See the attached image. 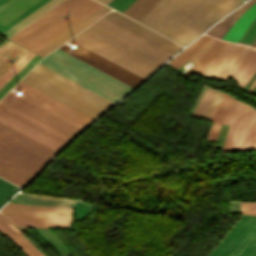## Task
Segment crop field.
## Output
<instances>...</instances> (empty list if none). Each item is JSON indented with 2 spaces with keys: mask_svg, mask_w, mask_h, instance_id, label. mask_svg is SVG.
Wrapping results in <instances>:
<instances>
[{
  "mask_svg": "<svg viewBox=\"0 0 256 256\" xmlns=\"http://www.w3.org/2000/svg\"><path fill=\"white\" fill-rule=\"evenodd\" d=\"M225 95V94H224ZM223 93L217 92L216 95L213 97V99L211 100L203 118L204 119H208L210 120L217 104L219 103L220 99L222 98ZM222 100V99H221ZM219 105V104H218Z\"/></svg>",
  "mask_w": 256,
  "mask_h": 256,
  "instance_id": "crop-field-41",
  "label": "crop field"
},
{
  "mask_svg": "<svg viewBox=\"0 0 256 256\" xmlns=\"http://www.w3.org/2000/svg\"><path fill=\"white\" fill-rule=\"evenodd\" d=\"M234 99L230 98L227 95H224L219 105L217 106L211 120L214 121L210 132L208 134V139L217 140L220 129L222 127V123L232 105Z\"/></svg>",
  "mask_w": 256,
  "mask_h": 256,
  "instance_id": "crop-field-21",
  "label": "crop field"
},
{
  "mask_svg": "<svg viewBox=\"0 0 256 256\" xmlns=\"http://www.w3.org/2000/svg\"><path fill=\"white\" fill-rule=\"evenodd\" d=\"M16 226L69 228L70 221L5 215Z\"/></svg>",
  "mask_w": 256,
  "mask_h": 256,
  "instance_id": "crop-field-18",
  "label": "crop field"
},
{
  "mask_svg": "<svg viewBox=\"0 0 256 256\" xmlns=\"http://www.w3.org/2000/svg\"><path fill=\"white\" fill-rule=\"evenodd\" d=\"M256 0H250L246 4H244L242 7L237 9L235 12H233L231 15L226 17L221 22L217 23L213 28H211L206 34L216 36L218 38H222V36L226 33V31L231 27V25L235 22V20L244 13L249 7H251Z\"/></svg>",
  "mask_w": 256,
  "mask_h": 256,
  "instance_id": "crop-field-24",
  "label": "crop field"
},
{
  "mask_svg": "<svg viewBox=\"0 0 256 256\" xmlns=\"http://www.w3.org/2000/svg\"><path fill=\"white\" fill-rule=\"evenodd\" d=\"M103 18L141 37L142 39L158 46L159 48L173 55L182 48V46L160 36L159 34L139 25L138 23L116 12H110L107 15H105Z\"/></svg>",
  "mask_w": 256,
  "mask_h": 256,
  "instance_id": "crop-field-10",
  "label": "crop field"
},
{
  "mask_svg": "<svg viewBox=\"0 0 256 256\" xmlns=\"http://www.w3.org/2000/svg\"><path fill=\"white\" fill-rule=\"evenodd\" d=\"M208 256H256V217L242 215Z\"/></svg>",
  "mask_w": 256,
  "mask_h": 256,
  "instance_id": "crop-field-6",
  "label": "crop field"
},
{
  "mask_svg": "<svg viewBox=\"0 0 256 256\" xmlns=\"http://www.w3.org/2000/svg\"><path fill=\"white\" fill-rule=\"evenodd\" d=\"M0 225L4 227L7 231H9L12 235H14L17 239H19L31 252L34 256H41L34 247L18 232H16L12 227H10L4 220L0 218Z\"/></svg>",
  "mask_w": 256,
  "mask_h": 256,
  "instance_id": "crop-field-34",
  "label": "crop field"
},
{
  "mask_svg": "<svg viewBox=\"0 0 256 256\" xmlns=\"http://www.w3.org/2000/svg\"><path fill=\"white\" fill-rule=\"evenodd\" d=\"M214 38H211L200 50H198L189 60L192 62H196L198 59H200L203 54L207 51V49L211 46V44L214 42Z\"/></svg>",
  "mask_w": 256,
  "mask_h": 256,
  "instance_id": "crop-field-45",
  "label": "crop field"
},
{
  "mask_svg": "<svg viewBox=\"0 0 256 256\" xmlns=\"http://www.w3.org/2000/svg\"><path fill=\"white\" fill-rule=\"evenodd\" d=\"M252 46H253V47H256V40H255V42L252 44Z\"/></svg>",
  "mask_w": 256,
  "mask_h": 256,
  "instance_id": "crop-field-51",
  "label": "crop field"
},
{
  "mask_svg": "<svg viewBox=\"0 0 256 256\" xmlns=\"http://www.w3.org/2000/svg\"><path fill=\"white\" fill-rule=\"evenodd\" d=\"M98 1H100V2H102V3L107 5L111 0H98Z\"/></svg>",
  "mask_w": 256,
  "mask_h": 256,
  "instance_id": "crop-field-49",
  "label": "crop field"
},
{
  "mask_svg": "<svg viewBox=\"0 0 256 256\" xmlns=\"http://www.w3.org/2000/svg\"><path fill=\"white\" fill-rule=\"evenodd\" d=\"M215 93H216L215 91H210V90L206 89L205 93L201 97V99H200V101H199V103H198V105L195 109V111L198 109L197 112L195 113V111H194V113H195L194 116H198V117L201 118V116H202L204 110L206 109L209 101L212 99V97L215 95Z\"/></svg>",
  "mask_w": 256,
  "mask_h": 256,
  "instance_id": "crop-field-35",
  "label": "crop field"
},
{
  "mask_svg": "<svg viewBox=\"0 0 256 256\" xmlns=\"http://www.w3.org/2000/svg\"><path fill=\"white\" fill-rule=\"evenodd\" d=\"M224 124L231 125L222 151H256V110L235 100Z\"/></svg>",
  "mask_w": 256,
  "mask_h": 256,
  "instance_id": "crop-field-5",
  "label": "crop field"
},
{
  "mask_svg": "<svg viewBox=\"0 0 256 256\" xmlns=\"http://www.w3.org/2000/svg\"><path fill=\"white\" fill-rule=\"evenodd\" d=\"M82 32L100 40L101 42L119 50L120 52L136 59L137 61L155 70L163 64L91 26L86 28Z\"/></svg>",
  "mask_w": 256,
  "mask_h": 256,
  "instance_id": "crop-field-14",
  "label": "crop field"
},
{
  "mask_svg": "<svg viewBox=\"0 0 256 256\" xmlns=\"http://www.w3.org/2000/svg\"><path fill=\"white\" fill-rule=\"evenodd\" d=\"M73 256V255H72Z\"/></svg>",
  "mask_w": 256,
  "mask_h": 256,
  "instance_id": "crop-field-53",
  "label": "crop field"
},
{
  "mask_svg": "<svg viewBox=\"0 0 256 256\" xmlns=\"http://www.w3.org/2000/svg\"><path fill=\"white\" fill-rule=\"evenodd\" d=\"M63 0H49L47 3L36 9L34 12L20 20L18 23L7 29L5 32H3L1 35L12 38L14 35L19 33L21 30L26 28L28 25L33 23L35 20L40 18L42 15H44L46 12L51 10L53 7L58 5Z\"/></svg>",
  "mask_w": 256,
  "mask_h": 256,
  "instance_id": "crop-field-16",
  "label": "crop field"
},
{
  "mask_svg": "<svg viewBox=\"0 0 256 256\" xmlns=\"http://www.w3.org/2000/svg\"><path fill=\"white\" fill-rule=\"evenodd\" d=\"M1 101L19 109L20 111L72 138L81 131L9 92Z\"/></svg>",
  "mask_w": 256,
  "mask_h": 256,
  "instance_id": "crop-field-11",
  "label": "crop field"
},
{
  "mask_svg": "<svg viewBox=\"0 0 256 256\" xmlns=\"http://www.w3.org/2000/svg\"><path fill=\"white\" fill-rule=\"evenodd\" d=\"M238 47L237 44L228 43L225 45L224 49L212 64V66L202 74V76L214 79L216 75L221 71V69L225 66L228 62L236 48Z\"/></svg>",
  "mask_w": 256,
  "mask_h": 256,
  "instance_id": "crop-field-25",
  "label": "crop field"
},
{
  "mask_svg": "<svg viewBox=\"0 0 256 256\" xmlns=\"http://www.w3.org/2000/svg\"><path fill=\"white\" fill-rule=\"evenodd\" d=\"M256 3V2H255ZM256 16V4H254L251 8H249L232 26V28L225 34L222 38L223 40L234 41L237 43L239 38L247 29L250 22Z\"/></svg>",
  "mask_w": 256,
  "mask_h": 256,
  "instance_id": "crop-field-23",
  "label": "crop field"
},
{
  "mask_svg": "<svg viewBox=\"0 0 256 256\" xmlns=\"http://www.w3.org/2000/svg\"><path fill=\"white\" fill-rule=\"evenodd\" d=\"M27 52V50L13 44L0 57V78Z\"/></svg>",
  "mask_w": 256,
  "mask_h": 256,
  "instance_id": "crop-field-26",
  "label": "crop field"
},
{
  "mask_svg": "<svg viewBox=\"0 0 256 256\" xmlns=\"http://www.w3.org/2000/svg\"><path fill=\"white\" fill-rule=\"evenodd\" d=\"M0 116H2V117H4V118L8 119L9 121H11V122H13V123H15V124H17V125H19V126L25 128L26 130H28V131H30V132H32V133H34V134H36V135H38V136L44 138L45 140H47V141H49V142H51V143H53V144H55V145H57V146H59V147H61V148L64 146V145H62V144H60V143H58V142H56V141L50 139L49 137H47V136H45V135H43V134L37 132L36 130H34V129H32V128H30V127H28V126L22 124L21 122H19V121L13 119V118H11V117H9L8 115H6V114H4V113H2V112H0Z\"/></svg>",
  "mask_w": 256,
  "mask_h": 256,
  "instance_id": "crop-field-38",
  "label": "crop field"
},
{
  "mask_svg": "<svg viewBox=\"0 0 256 256\" xmlns=\"http://www.w3.org/2000/svg\"><path fill=\"white\" fill-rule=\"evenodd\" d=\"M225 44L226 42L216 39L205 55L203 54L204 56L191 69L185 72V74L188 76L192 73L201 75L214 62Z\"/></svg>",
  "mask_w": 256,
  "mask_h": 256,
  "instance_id": "crop-field-22",
  "label": "crop field"
},
{
  "mask_svg": "<svg viewBox=\"0 0 256 256\" xmlns=\"http://www.w3.org/2000/svg\"><path fill=\"white\" fill-rule=\"evenodd\" d=\"M39 0H8L0 6V28Z\"/></svg>",
  "mask_w": 256,
  "mask_h": 256,
  "instance_id": "crop-field-17",
  "label": "crop field"
},
{
  "mask_svg": "<svg viewBox=\"0 0 256 256\" xmlns=\"http://www.w3.org/2000/svg\"><path fill=\"white\" fill-rule=\"evenodd\" d=\"M242 0H160L138 22L188 44Z\"/></svg>",
  "mask_w": 256,
  "mask_h": 256,
  "instance_id": "crop-field-2",
  "label": "crop field"
},
{
  "mask_svg": "<svg viewBox=\"0 0 256 256\" xmlns=\"http://www.w3.org/2000/svg\"><path fill=\"white\" fill-rule=\"evenodd\" d=\"M108 10L110 9L102 5L97 10L89 14L87 17L79 21L77 24L69 28L67 31L59 35L57 38L49 42L47 45H45L35 53L41 56L46 55L48 52L56 48L58 45L66 41L68 38L76 34L78 31L86 27L88 24H90L91 22L96 20L98 17L106 13Z\"/></svg>",
  "mask_w": 256,
  "mask_h": 256,
  "instance_id": "crop-field-15",
  "label": "crop field"
},
{
  "mask_svg": "<svg viewBox=\"0 0 256 256\" xmlns=\"http://www.w3.org/2000/svg\"><path fill=\"white\" fill-rule=\"evenodd\" d=\"M10 202L73 208L75 201L17 194Z\"/></svg>",
  "mask_w": 256,
  "mask_h": 256,
  "instance_id": "crop-field-20",
  "label": "crop field"
},
{
  "mask_svg": "<svg viewBox=\"0 0 256 256\" xmlns=\"http://www.w3.org/2000/svg\"><path fill=\"white\" fill-rule=\"evenodd\" d=\"M0 122L4 123L5 125H7V126L13 128L15 130L21 132L22 134H24V135H26V136H28V137H30V138L40 142L41 144H43V145H45V146H47V147H49V148H51V149H53V150H55L57 152L61 149V148H59V147H57V146H55V145H53V144L43 140L42 138H40V137H38V136H36V135L26 131L25 129H23V128H21V127L15 125L13 123L7 121L6 119H4L2 117H0Z\"/></svg>",
  "mask_w": 256,
  "mask_h": 256,
  "instance_id": "crop-field-31",
  "label": "crop field"
},
{
  "mask_svg": "<svg viewBox=\"0 0 256 256\" xmlns=\"http://www.w3.org/2000/svg\"><path fill=\"white\" fill-rule=\"evenodd\" d=\"M6 0H0V5L3 3V2H5Z\"/></svg>",
  "mask_w": 256,
  "mask_h": 256,
  "instance_id": "crop-field-52",
  "label": "crop field"
},
{
  "mask_svg": "<svg viewBox=\"0 0 256 256\" xmlns=\"http://www.w3.org/2000/svg\"><path fill=\"white\" fill-rule=\"evenodd\" d=\"M256 70V49L252 48L249 54L237 67L235 72L232 74V78L235 79L239 85L238 88L242 89L248 79Z\"/></svg>",
  "mask_w": 256,
  "mask_h": 256,
  "instance_id": "crop-field-19",
  "label": "crop field"
},
{
  "mask_svg": "<svg viewBox=\"0 0 256 256\" xmlns=\"http://www.w3.org/2000/svg\"><path fill=\"white\" fill-rule=\"evenodd\" d=\"M0 105H2V106H4V107H6V108H8V109H10V110H12V111H14V112H16L17 114H19V115H21V116H23V117H25V118H27V119L33 121L34 123H36V124H38V125H40V126L46 128V129L52 131L53 133H55V134H57V135H59V136L65 138V139H67V140H69V141L72 139V138H70V137H68V136H66V135H64V134H62V133H60V132L54 130L53 128H51V127H49V126H47V125H45V124H43V123L37 121L36 119H34V118H32V117H30V116H28V115H26V114H24V113L18 111L17 109H15V108H13V107H11V106H9V105H7V104L1 102V101H0Z\"/></svg>",
  "mask_w": 256,
  "mask_h": 256,
  "instance_id": "crop-field-36",
  "label": "crop field"
},
{
  "mask_svg": "<svg viewBox=\"0 0 256 256\" xmlns=\"http://www.w3.org/2000/svg\"><path fill=\"white\" fill-rule=\"evenodd\" d=\"M135 0H112L108 6L114 8L119 12H123L129 5H131Z\"/></svg>",
  "mask_w": 256,
  "mask_h": 256,
  "instance_id": "crop-field-42",
  "label": "crop field"
},
{
  "mask_svg": "<svg viewBox=\"0 0 256 256\" xmlns=\"http://www.w3.org/2000/svg\"><path fill=\"white\" fill-rule=\"evenodd\" d=\"M251 48L245 46L239 57L234 61V63L229 67V69L226 71L224 76L221 78V80L226 81L230 75L233 73L235 68L239 65V63L244 59V57L247 55V53L250 51Z\"/></svg>",
  "mask_w": 256,
  "mask_h": 256,
  "instance_id": "crop-field-39",
  "label": "crop field"
},
{
  "mask_svg": "<svg viewBox=\"0 0 256 256\" xmlns=\"http://www.w3.org/2000/svg\"><path fill=\"white\" fill-rule=\"evenodd\" d=\"M0 232L6 236L8 239H10L14 244H16L27 256H33L30 251L14 236H12L10 233H8L4 228L0 226Z\"/></svg>",
  "mask_w": 256,
  "mask_h": 256,
  "instance_id": "crop-field-43",
  "label": "crop field"
},
{
  "mask_svg": "<svg viewBox=\"0 0 256 256\" xmlns=\"http://www.w3.org/2000/svg\"><path fill=\"white\" fill-rule=\"evenodd\" d=\"M255 38H256V17L251 22L250 26L248 27V29L246 30V32L243 34V36L241 37V39L239 41L252 44V42L255 40ZM240 42H238V43L250 46L249 44H244V43H240Z\"/></svg>",
  "mask_w": 256,
  "mask_h": 256,
  "instance_id": "crop-field-37",
  "label": "crop field"
},
{
  "mask_svg": "<svg viewBox=\"0 0 256 256\" xmlns=\"http://www.w3.org/2000/svg\"><path fill=\"white\" fill-rule=\"evenodd\" d=\"M56 153L0 123V177L7 181L26 185Z\"/></svg>",
  "mask_w": 256,
  "mask_h": 256,
  "instance_id": "crop-field-3",
  "label": "crop field"
},
{
  "mask_svg": "<svg viewBox=\"0 0 256 256\" xmlns=\"http://www.w3.org/2000/svg\"><path fill=\"white\" fill-rule=\"evenodd\" d=\"M13 44L11 41H7L0 47V56Z\"/></svg>",
  "mask_w": 256,
  "mask_h": 256,
  "instance_id": "crop-field-48",
  "label": "crop field"
},
{
  "mask_svg": "<svg viewBox=\"0 0 256 256\" xmlns=\"http://www.w3.org/2000/svg\"><path fill=\"white\" fill-rule=\"evenodd\" d=\"M159 0H136L129 6L123 14L139 20L145 13H147Z\"/></svg>",
  "mask_w": 256,
  "mask_h": 256,
  "instance_id": "crop-field-28",
  "label": "crop field"
},
{
  "mask_svg": "<svg viewBox=\"0 0 256 256\" xmlns=\"http://www.w3.org/2000/svg\"><path fill=\"white\" fill-rule=\"evenodd\" d=\"M35 54L27 52L1 79L0 88L18 72Z\"/></svg>",
  "mask_w": 256,
  "mask_h": 256,
  "instance_id": "crop-field-32",
  "label": "crop field"
},
{
  "mask_svg": "<svg viewBox=\"0 0 256 256\" xmlns=\"http://www.w3.org/2000/svg\"><path fill=\"white\" fill-rule=\"evenodd\" d=\"M40 59V57L35 55L17 74H15L0 89V98L4 96Z\"/></svg>",
  "mask_w": 256,
  "mask_h": 256,
  "instance_id": "crop-field-30",
  "label": "crop field"
},
{
  "mask_svg": "<svg viewBox=\"0 0 256 256\" xmlns=\"http://www.w3.org/2000/svg\"><path fill=\"white\" fill-rule=\"evenodd\" d=\"M30 73L104 111L115 104L39 63Z\"/></svg>",
  "mask_w": 256,
  "mask_h": 256,
  "instance_id": "crop-field-7",
  "label": "crop field"
},
{
  "mask_svg": "<svg viewBox=\"0 0 256 256\" xmlns=\"http://www.w3.org/2000/svg\"><path fill=\"white\" fill-rule=\"evenodd\" d=\"M68 42L79 48H59L135 87L155 71L82 32ZM59 48L39 63L115 103L135 88Z\"/></svg>",
  "mask_w": 256,
  "mask_h": 256,
  "instance_id": "crop-field-1",
  "label": "crop field"
},
{
  "mask_svg": "<svg viewBox=\"0 0 256 256\" xmlns=\"http://www.w3.org/2000/svg\"><path fill=\"white\" fill-rule=\"evenodd\" d=\"M0 111L8 114L9 116H11V117L21 121L22 123H24V124L34 128V129H36L37 131H39V132L49 136L50 138H52V139H54V140H56V141H58V142H60V143H62L64 145L69 142V141H67V140H65V139H63V138H61V137L51 133L50 131H48V130H46V129H44V128L36 125V124H34L33 122H31V121H29V120H27V119H25V118L15 114L14 112H12V111H10V110L2 107V106H0Z\"/></svg>",
  "mask_w": 256,
  "mask_h": 256,
  "instance_id": "crop-field-29",
  "label": "crop field"
},
{
  "mask_svg": "<svg viewBox=\"0 0 256 256\" xmlns=\"http://www.w3.org/2000/svg\"><path fill=\"white\" fill-rule=\"evenodd\" d=\"M29 73L21 80L22 82L36 88L37 90L64 103L65 105L77 110L78 112L90 117L93 120L103 113L102 111L50 85L49 83L31 75L32 73L31 74Z\"/></svg>",
  "mask_w": 256,
  "mask_h": 256,
  "instance_id": "crop-field-9",
  "label": "crop field"
},
{
  "mask_svg": "<svg viewBox=\"0 0 256 256\" xmlns=\"http://www.w3.org/2000/svg\"><path fill=\"white\" fill-rule=\"evenodd\" d=\"M244 48V46L239 45V47L237 48V50L235 51V53L233 54V56L231 57V59L229 60V62L227 63V65L223 68V70L218 74V76L216 77V79H220L221 76L224 74V72L227 70V68L233 63V61L238 57V55L240 54V52L242 51V49Z\"/></svg>",
  "mask_w": 256,
  "mask_h": 256,
  "instance_id": "crop-field-47",
  "label": "crop field"
},
{
  "mask_svg": "<svg viewBox=\"0 0 256 256\" xmlns=\"http://www.w3.org/2000/svg\"><path fill=\"white\" fill-rule=\"evenodd\" d=\"M99 6L90 0H65L11 40L35 52Z\"/></svg>",
  "mask_w": 256,
  "mask_h": 256,
  "instance_id": "crop-field-4",
  "label": "crop field"
},
{
  "mask_svg": "<svg viewBox=\"0 0 256 256\" xmlns=\"http://www.w3.org/2000/svg\"><path fill=\"white\" fill-rule=\"evenodd\" d=\"M241 213L256 215V203H241Z\"/></svg>",
  "mask_w": 256,
  "mask_h": 256,
  "instance_id": "crop-field-46",
  "label": "crop field"
},
{
  "mask_svg": "<svg viewBox=\"0 0 256 256\" xmlns=\"http://www.w3.org/2000/svg\"><path fill=\"white\" fill-rule=\"evenodd\" d=\"M19 188L0 179V206L5 203Z\"/></svg>",
  "mask_w": 256,
  "mask_h": 256,
  "instance_id": "crop-field-33",
  "label": "crop field"
},
{
  "mask_svg": "<svg viewBox=\"0 0 256 256\" xmlns=\"http://www.w3.org/2000/svg\"><path fill=\"white\" fill-rule=\"evenodd\" d=\"M3 214L70 220L73 209L8 203Z\"/></svg>",
  "mask_w": 256,
  "mask_h": 256,
  "instance_id": "crop-field-13",
  "label": "crop field"
},
{
  "mask_svg": "<svg viewBox=\"0 0 256 256\" xmlns=\"http://www.w3.org/2000/svg\"><path fill=\"white\" fill-rule=\"evenodd\" d=\"M103 18V17H102ZM99 19L97 22H95L93 27L115 37L116 39L138 49L139 51L161 61L166 62L169 58H171L173 55L155 47L154 45L138 38L137 36L119 28L118 26L104 20Z\"/></svg>",
  "mask_w": 256,
  "mask_h": 256,
  "instance_id": "crop-field-8",
  "label": "crop field"
},
{
  "mask_svg": "<svg viewBox=\"0 0 256 256\" xmlns=\"http://www.w3.org/2000/svg\"><path fill=\"white\" fill-rule=\"evenodd\" d=\"M9 92H11V91H9ZM11 93H13V92H11ZM13 94H15V93H13ZM15 95H16V94H15ZM17 96H18V95H17ZM19 97H20V96H19ZM21 98H23L24 100H26V101H28V102H30V103H32V104L38 106L39 108H41V109H43V110H45V111L51 113L52 115H54V116H56V117H58V118H60V119H62V120H64V121H66L67 123H69V124H71V125H73V126L79 128V129H81V130L84 128V127H82V126H80V125H78V124H76V123H74V122H72V121H70V120H68V119H66V118H64V117H62V116L56 114V113H54L53 111H51V110H49V109H47V108H45V107H43V106H41V105H39V104H37V103H35V102H33V101H31V100H29V99L23 97V96H21Z\"/></svg>",
  "mask_w": 256,
  "mask_h": 256,
  "instance_id": "crop-field-44",
  "label": "crop field"
},
{
  "mask_svg": "<svg viewBox=\"0 0 256 256\" xmlns=\"http://www.w3.org/2000/svg\"><path fill=\"white\" fill-rule=\"evenodd\" d=\"M48 0H41L38 3H36L35 5H33L31 8H29L28 10H26L24 13H22L21 15H19L18 17H16L14 20H12L11 22H9L7 25H5L4 27H2L0 29V33H2L3 31H5L7 28H9L10 26H12L13 24H15L16 22H18L20 19H22L23 17H25L26 15H28L29 13H31L33 10H35L36 8H38L39 6H41L42 4H44L45 2H47Z\"/></svg>",
  "mask_w": 256,
  "mask_h": 256,
  "instance_id": "crop-field-40",
  "label": "crop field"
},
{
  "mask_svg": "<svg viewBox=\"0 0 256 256\" xmlns=\"http://www.w3.org/2000/svg\"><path fill=\"white\" fill-rule=\"evenodd\" d=\"M256 80L254 81V83L252 84V86L250 87V89L248 90V93H250V91L252 90L253 86L255 85Z\"/></svg>",
  "mask_w": 256,
  "mask_h": 256,
  "instance_id": "crop-field-50",
  "label": "crop field"
},
{
  "mask_svg": "<svg viewBox=\"0 0 256 256\" xmlns=\"http://www.w3.org/2000/svg\"><path fill=\"white\" fill-rule=\"evenodd\" d=\"M210 37L202 35L198 40L185 48L180 52L174 59H172L169 64L174 68L181 66L188 58H190L198 49H200Z\"/></svg>",
  "mask_w": 256,
  "mask_h": 256,
  "instance_id": "crop-field-27",
  "label": "crop field"
},
{
  "mask_svg": "<svg viewBox=\"0 0 256 256\" xmlns=\"http://www.w3.org/2000/svg\"><path fill=\"white\" fill-rule=\"evenodd\" d=\"M14 88L23 92L24 93L23 96L53 110L54 112L84 127L93 121L20 82Z\"/></svg>",
  "mask_w": 256,
  "mask_h": 256,
  "instance_id": "crop-field-12",
  "label": "crop field"
}]
</instances>
